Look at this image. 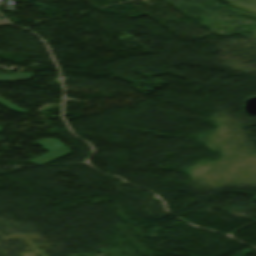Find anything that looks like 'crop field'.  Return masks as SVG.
I'll return each instance as SVG.
<instances>
[{"label":"crop field","mask_w":256,"mask_h":256,"mask_svg":"<svg viewBox=\"0 0 256 256\" xmlns=\"http://www.w3.org/2000/svg\"><path fill=\"white\" fill-rule=\"evenodd\" d=\"M1 130H2V129L0 128V132H1Z\"/></svg>","instance_id":"8a807250"}]
</instances>
